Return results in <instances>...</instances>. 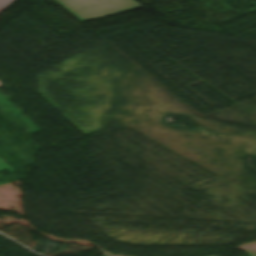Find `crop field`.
I'll list each match as a JSON object with an SVG mask.
<instances>
[{"label":"crop field","mask_w":256,"mask_h":256,"mask_svg":"<svg viewBox=\"0 0 256 256\" xmlns=\"http://www.w3.org/2000/svg\"><path fill=\"white\" fill-rule=\"evenodd\" d=\"M55 1V0H54ZM81 21L141 7L132 0H56Z\"/></svg>","instance_id":"obj_1"},{"label":"crop field","mask_w":256,"mask_h":256,"mask_svg":"<svg viewBox=\"0 0 256 256\" xmlns=\"http://www.w3.org/2000/svg\"><path fill=\"white\" fill-rule=\"evenodd\" d=\"M13 1L14 0H0V11L3 10L6 6H8Z\"/></svg>","instance_id":"obj_2"}]
</instances>
